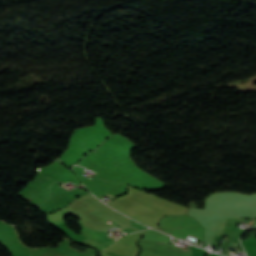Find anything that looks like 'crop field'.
<instances>
[{"instance_id":"8a807250","label":"crop field","mask_w":256,"mask_h":256,"mask_svg":"<svg viewBox=\"0 0 256 256\" xmlns=\"http://www.w3.org/2000/svg\"><path fill=\"white\" fill-rule=\"evenodd\" d=\"M132 227V226H131ZM127 230V229H126ZM132 231V230H131Z\"/></svg>"}]
</instances>
